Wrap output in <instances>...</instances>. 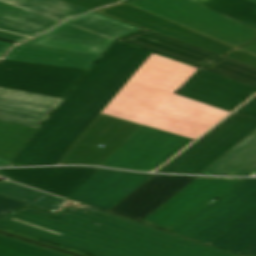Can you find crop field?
Returning a JSON list of instances; mask_svg holds the SVG:
<instances>
[{
	"label": "crop field",
	"instance_id": "28ad6ade",
	"mask_svg": "<svg viewBox=\"0 0 256 256\" xmlns=\"http://www.w3.org/2000/svg\"><path fill=\"white\" fill-rule=\"evenodd\" d=\"M151 176L98 169L70 199L108 210L149 180Z\"/></svg>",
	"mask_w": 256,
	"mask_h": 256
},
{
	"label": "crop field",
	"instance_id": "22f410ed",
	"mask_svg": "<svg viewBox=\"0 0 256 256\" xmlns=\"http://www.w3.org/2000/svg\"><path fill=\"white\" fill-rule=\"evenodd\" d=\"M256 93V88L200 70L178 94L217 106L234 110Z\"/></svg>",
	"mask_w": 256,
	"mask_h": 256
},
{
	"label": "crop field",
	"instance_id": "f4fd0767",
	"mask_svg": "<svg viewBox=\"0 0 256 256\" xmlns=\"http://www.w3.org/2000/svg\"><path fill=\"white\" fill-rule=\"evenodd\" d=\"M256 131V119L233 114L159 172L201 174Z\"/></svg>",
	"mask_w": 256,
	"mask_h": 256
},
{
	"label": "crop field",
	"instance_id": "00972430",
	"mask_svg": "<svg viewBox=\"0 0 256 256\" xmlns=\"http://www.w3.org/2000/svg\"><path fill=\"white\" fill-rule=\"evenodd\" d=\"M66 23L106 36L114 40L141 30L139 28L102 16L94 12H91L79 18L71 19Z\"/></svg>",
	"mask_w": 256,
	"mask_h": 256
},
{
	"label": "crop field",
	"instance_id": "4a817a6b",
	"mask_svg": "<svg viewBox=\"0 0 256 256\" xmlns=\"http://www.w3.org/2000/svg\"><path fill=\"white\" fill-rule=\"evenodd\" d=\"M119 41L162 54L195 66H202L219 57L207 51L145 30Z\"/></svg>",
	"mask_w": 256,
	"mask_h": 256
},
{
	"label": "crop field",
	"instance_id": "cbeb9de0",
	"mask_svg": "<svg viewBox=\"0 0 256 256\" xmlns=\"http://www.w3.org/2000/svg\"><path fill=\"white\" fill-rule=\"evenodd\" d=\"M97 168L59 167L0 170V175L69 198Z\"/></svg>",
	"mask_w": 256,
	"mask_h": 256
},
{
	"label": "crop field",
	"instance_id": "c21b1889",
	"mask_svg": "<svg viewBox=\"0 0 256 256\" xmlns=\"http://www.w3.org/2000/svg\"><path fill=\"white\" fill-rule=\"evenodd\" d=\"M254 176H256V174Z\"/></svg>",
	"mask_w": 256,
	"mask_h": 256
},
{
	"label": "crop field",
	"instance_id": "730fd06b",
	"mask_svg": "<svg viewBox=\"0 0 256 256\" xmlns=\"http://www.w3.org/2000/svg\"><path fill=\"white\" fill-rule=\"evenodd\" d=\"M256 29V4L248 0H199L195 2Z\"/></svg>",
	"mask_w": 256,
	"mask_h": 256
},
{
	"label": "crop field",
	"instance_id": "ae1a2a85",
	"mask_svg": "<svg viewBox=\"0 0 256 256\" xmlns=\"http://www.w3.org/2000/svg\"><path fill=\"white\" fill-rule=\"evenodd\" d=\"M203 70L256 87V68L226 57L215 61Z\"/></svg>",
	"mask_w": 256,
	"mask_h": 256
},
{
	"label": "crop field",
	"instance_id": "a9b5d70f",
	"mask_svg": "<svg viewBox=\"0 0 256 256\" xmlns=\"http://www.w3.org/2000/svg\"><path fill=\"white\" fill-rule=\"evenodd\" d=\"M0 195L52 212L66 201L10 181L0 182Z\"/></svg>",
	"mask_w": 256,
	"mask_h": 256
},
{
	"label": "crop field",
	"instance_id": "bd1437ed",
	"mask_svg": "<svg viewBox=\"0 0 256 256\" xmlns=\"http://www.w3.org/2000/svg\"><path fill=\"white\" fill-rule=\"evenodd\" d=\"M226 57H229V58L235 59L237 61H240V62H243V63H246V64L256 67V57L252 56L250 54H247L245 52H242L240 50H238Z\"/></svg>",
	"mask_w": 256,
	"mask_h": 256
},
{
	"label": "crop field",
	"instance_id": "dd49c442",
	"mask_svg": "<svg viewBox=\"0 0 256 256\" xmlns=\"http://www.w3.org/2000/svg\"><path fill=\"white\" fill-rule=\"evenodd\" d=\"M256 209V179H246L176 232L205 244Z\"/></svg>",
	"mask_w": 256,
	"mask_h": 256
},
{
	"label": "crop field",
	"instance_id": "120bbe31",
	"mask_svg": "<svg viewBox=\"0 0 256 256\" xmlns=\"http://www.w3.org/2000/svg\"><path fill=\"white\" fill-rule=\"evenodd\" d=\"M235 113L251 116L256 118V97L238 109Z\"/></svg>",
	"mask_w": 256,
	"mask_h": 256
},
{
	"label": "crop field",
	"instance_id": "d3111659",
	"mask_svg": "<svg viewBox=\"0 0 256 256\" xmlns=\"http://www.w3.org/2000/svg\"><path fill=\"white\" fill-rule=\"evenodd\" d=\"M0 256H62L0 237Z\"/></svg>",
	"mask_w": 256,
	"mask_h": 256
},
{
	"label": "crop field",
	"instance_id": "92a150f3",
	"mask_svg": "<svg viewBox=\"0 0 256 256\" xmlns=\"http://www.w3.org/2000/svg\"><path fill=\"white\" fill-rule=\"evenodd\" d=\"M256 172V132L202 174L250 176Z\"/></svg>",
	"mask_w": 256,
	"mask_h": 256
},
{
	"label": "crop field",
	"instance_id": "34b2d1b8",
	"mask_svg": "<svg viewBox=\"0 0 256 256\" xmlns=\"http://www.w3.org/2000/svg\"><path fill=\"white\" fill-rule=\"evenodd\" d=\"M197 71L152 54L103 113L195 140L229 114L173 94Z\"/></svg>",
	"mask_w": 256,
	"mask_h": 256
},
{
	"label": "crop field",
	"instance_id": "e52e79f7",
	"mask_svg": "<svg viewBox=\"0 0 256 256\" xmlns=\"http://www.w3.org/2000/svg\"><path fill=\"white\" fill-rule=\"evenodd\" d=\"M242 180L198 177L142 223L174 232Z\"/></svg>",
	"mask_w": 256,
	"mask_h": 256
},
{
	"label": "crop field",
	"instance_id": "0bd39190",
	"mask_svg": "<svg viewBox=\"0 0 256 256\" xmlns=\"http://www.w3.org/2000/svg\"><path fill=\"white\" fill-rule=\"evenodd\" d=\"M10 161L4 160L0 158V166H8Z\"/></svg>",
	"mask_w": 256,
	"mask_h": 256
},
{
	"label": "crop field",
	"instance_id": "d9b57169",
	"mask_svg": "<svg viewBox=\"0 0 256 256\" xmlns=\"http://www.w3.org/2000/svg\"><path fill=\"white\" fill-rule=\"evenodd\" d=\"M61 100L0 88V120L38 128Z\"/></svg>",
	"mask_w": 256,
	"mask_h": 256
},
{
	"label": "crop field",
	"instance_id": "b80d0937",
	"mask_svg": "<svg viewBox=\"0 0 256 256\" xmlns=\"http://www.w3.org/2000/svg\"><path fill=\"white\" fill-rule=\"evenodd\" d=\"M251 1H253V2H255V3H256V0H251Z\"/></svg>",
	"mask_w": 256,
	"mask_h": 256
},
{
	"label": "crop field",
	"instance_id": "c035e120",
	"mask_svg": "<svg viewBox=\"0 0 256 256\" xmlns=\"http://www.w3.org/2000/svg\"><path fill=\"white\" fill-rule=\"evenodd\" d=\"M190 1L194 2V1H196V0H190Z\"/></svg>",
	"mask_w": 256,
	"mask_h": 256
},
{
	"label": "crop field",
	"instance_id": "d8731c3e",
	"mask_svg": "<svg viewBox=\"0 0 256 256\" xmlns=\"http://www.w3.org/2000/svg\"><path fill=\"white\" fill-rule=\"evenodd\" d=\"M192 141L142 126L103 165L151 171L160 167Z\"/></svg>",
	"mask_w": 256,
	"mask_h": 256
},
{
	"label": "crop field",
	"instance_id": "5a996713",
	"mask_svg": "<svg viewBox=\"0 0 256 256\" xmlns=\"http://www.w3.org/2000/svg\"><path fill=\"white\" fill-rule=\"evenodd\" d=\"M87 72L2 60L0 87L65 98Z\"/></svg>",
	"mask_w": 256,
	"mask_h": 256
},
{
	"label": "crop field",
	"instance_id": "4177f3b9",
	"mask_svg": "<svg viewBox=\"0 0 256 256\" xmlns=\"http://www.w3.org/2000/svg\"><path fill=\"white\" fill-rule=\"evenodd\" d=\"M2 2L24 8L58 20H66L86 11L82 7L62 0H0Z\"/></svg>",
	"mask_w": 256,
	"mask_h": 256
},
{
	"label": "crop field",
	"instance_id": "d32e631a",
	"mask_svg": "<svg viewBox=\"0 0 256 256\" xmlns=\"http://www.w3.org/2000/svg\"><path fill=\"white\" fill-rule=\"evenodd\" d=\"M0 230L6 231V232H10V233H13V234L22 236V237H26V238H29V239L38 241V239L29 237V236H25V235H22V234H19V233H15V232L9 231V230L4 229V228H0ZM39 242H41V241H39ZM42 243H45V242H42ZM45 244L52 245V244H49V243H45ZM55 245H56V244H55ZM55 245H52V246H55ZM55 247H58V248H61V249H64V250H68V251H71V252H74V253H77V254H81V255L87 256V255H85L86 253L79 252V251H76V250H72V249H69V248H66V247H62V246H59V245H57V246H55ZM88 255H89V254H88ZM90 256H93V255H90Z\"/></svg>",
	"mask_w": 256,
	"mask_h": 256
},
{
	"label": "crop field",
	"instance_id": "028f5c9d",
	"mask_svg": "<svg viewBox=\"0 0 256 256\" xmlns=\"http://www.w3.org/2000/svg\"><path fill=\"white\" fill-rule=\"evenodd\" d=\"M15 44L12 43H8V42H4V41H0V58L4 56V54L6 53V51L13 47Z\"/></svg>",
	"mask_w": 256,
	"mask_h": 256
},
{
	"label": "crop field",
	"instance_id": "e1f06a70",
	"mask_svg": "<svg viewBox=\"0 0 256 256\" xmlns=\"http://www.w3.org/2000/svg\"><path fill=\"white\" fill-rule=\"evenodd\" d=\"M240 255L242 256H256V243L252 245L250 248L242 252Z\"/></svg>",
	"mask_w": 256,
	"mask_h": 256
},
{
	"label": "crop field",
	"instance_id": "214f88e0",
	"mask_svg": "<svg viewBox=\"0 0 256 256\" xmlns=\"http://www.w3.org/2000/svg\"><path fill=\"white\" fill-rule=\"evenodd\" d=\"M98 58L97 56L20 45L10 51L5 59L90 70Z\"/></svg>",
	"mask_w": 256,
	"mask_h": 256
},
{
	"label": "crop field",
	"instance_id": "ac0d7876",
	"mask_svg": "<svg viewBox=\"0 0 256 256\" xmlns=\"http://www.w3.org/2000/svg\"><path fill=\"white\" fill-rule=\"evenodd\" d=\"M150 55L116 42L10 166L58 165Z\"/></svg>",
	"mask_w": 256,
	"mask_h": 256
},
{
	"label": "crop field",
	"instance_id": "733c2abd",
	"mask_svg": "<svg viewBox=\"0 0 256 256\" xmlns=\"http://www.w3.org/2000/svg\"><path fill=\"white\" fill-rule=\"evenodd\" d=\"M112 41L64 23L57 29L29 41L25 45L101 56Z\"/></svg>",
	"mask_w": 256,
	"mask_h": 256
},
{
	"label": "crop field",
	"instance_id": "03da06ac",
	"mask_svg": "<svg viewBox=\"0 0 256 256\" xmlns=\"http://www.w3.org/2000/svg\"><path fill=\"white\" fill-rule=\"evenodd\" d=\"M120 1H122V0H120Z\"/></svg>",
	"mask_w": 256,
	"mask_h": 256
},
{
	"label": "crop field",
	"instance_id": "8a807250",
	"mask_svg": "<svg viewBox=\"0 0 256 256\" xmlns=\"http://www.w3.org/2000/svg\"><path fill=\"white\" fill-rule=\"evenodd\" d=\"M0 227L96 256H238L69 200L54 213L26 205Z\"/></svg>",
	"mask_w": 256,
	"mask_h": 256
},
{
	"label": "crop field",
	"instance_id": "750c4746",
	"mask_svg": "<svg viewBox=\"0 0 256 256\" xmlns=\"http://www.w3.org/2000/svg\"><path fill=\"white\" fill-rule=\"evenodd\" d=\"M65 1L82 6L90 10H93L103 5L120 2L118 0H65Z\"/></svg>",
	"mask_w": 256,
	"mask_h": 256
},
{
	"label": "crop field",
	"instance_id": "5142ce71",
	"mask_svg": "<svg viewBox=\"0 0 256 256\" xmlns=\"http://www.w3.org/2000/svg\"><path fill=\"white\" fill-rule=\"evenodd\" d=\"M195 178L156 176L110 212L141 222Z\"/></svg>",
	"mask_w": 256,
	"mask_h": 256
},
{
	"label": "crop field",
	"instance_id": "bc2a9ffb",
	"mask_svg": "<svg viewBox=\"0 0 256 256\" xmlns=\"http://www.w3.org/2000/svg\"><path fill=\"white\" fill-rule=\"evenodd\" d=\"M61 21L48 18L24 9L0 2V29L22 35L35 36L43 33ZM0 38L21 43L29 38L1 32Z\"/></svg>",
	"mask_w": 256,
	"mask_h": 256
},
{
	"label": "crop field",
	"instance_id": "eef30255",
	"mask_svg": "<svg viewBox=\"0 0 256 256\" xmlns=\"http://www.w3.org/2000/svg\"><path fill=\"white\" fill-rule=\"evenodd\" d=\"M35 131V128L0 121V156L12 160Z\"/></svg>",
	"mask_w": 256,
	"mask_h": 256
},
{
	"label": "crop field",
	"instance_id": "1d83c4d3",
	"mask_svg": "<svg viewBox=\"0 0 256 256\" xmlns=\"http://www.w3.org/2000/svg\"><path fill=\"white\" fill-rule=\"evenodd\" d=\"M24 205H26V204H23V203L0 196V216L5 214L4 213L5 211H8V210L13 211L19 207L24 206Z\"/></svg>",
	"mask_w": 256,
	"mask_h": 256
},
{
	"label": "crop field",
	"instance_id": "5866460e",
	"mask_svg": "<svg viewBox=\"0 0 256 256\" xmlns=\"http://www.w3.org/2000/svg\"><path fill=\"white\" fill-rule=\"evenodd\" d=\"M240 50L256 56V40L246 45L245 47L241 48Z\"/></svg>",
	"mask_w": 256,
	"mask_h": 256
},
{
	"label": "crop field",
	"instance_id": "412701ff",
	"mask_svg": "<svg viewBox=\"0 0 256 256\" xmlns=\"http://www.w3.org/2000/svg\"><path fill=\"white\" fill-rule=\"evenodd\" d=\"M235 48L256 38V30L188 0L126 2Z\"/></svg>",
	"mask_w": 256,
	"mask_h": 256
},
{
	"label": "crop field",
	"instance_id": "d1516ede",
	"mask_svg": "<svg viewBox=\"0 0 256 256\" xmlns=\"http://www.w3.org/2000/svg\"><path fill=\"white\" fill-rule=\"evenodd\" d=\"M98 12L222 56L235 49L126 3Z\"/></svg>",
	"mask_w": 256,
	"mask_h": 256
},
{
	"label": "crop field",
	"instance_id": "dafd665d",
	"mask_svg": "<svg viewBox=\"0 0 256 256\" xmlns=\"http://www.w3.org/2000/svg\"><path fill=\"white\" fill-rule=\"evenodd\" d=\"M256 242V210L208 245L240 254Z\"/></svg>",
	"mask_w": 256,
	"mask_h": 256
},
{
	"label": "crop field",
	"instance_id": "3316defc",
	"mask_svg": "<svg viewBox=\"0 0 256 256\" xmlns=\"http://www.w3.org/2000/svg\"><path fill=\"white\" fill-rule=\"evenodd\" d=\"M140 127L141 125L101 114L59 163L101 166ZM101 144L107 147H98Z\"/></svg>",
	"mask_w": 256,
	"mask_h": 256
}]
</instances>
